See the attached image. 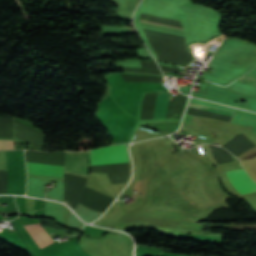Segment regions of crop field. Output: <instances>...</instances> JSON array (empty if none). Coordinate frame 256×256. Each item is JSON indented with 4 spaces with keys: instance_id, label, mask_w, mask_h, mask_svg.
<instances>
[{
    "instance_id": "obj_8",
    "label": "crop field",
    "mask_w": 256,
    "mask_h": 256,
    "mask_svg": "<svg viewBox=\"0 0 256 256\" xmlns=\"http://www.w3.org/2000/svg\"><path fill=\"white\" fill-rule=\"evenodd\" d=\"M239 80L246 81V82H249V83H252V84L256 85V79L251 78V77H247L245 75L242 76Z\"/></svg>"
},
{
    "instance_id": "obj_7",
    "label": "crop field",
    "mask_w": 256,
    "mask_h": 256,
    "mask_svg": "<svg viewBox=\"0 0 256 256\" xmlns=\"http://www.w3.org/2000/svg\"><path fill=\"white\" fill-rule=\"evenodd\" d=\"M0 149H13V140L0 139Z\"/></svg>"
},
{
    "instance_id": "obj_3",
    "label": "crop field",
    "mask_w": 256,
    "mask_h": 256,
    "mask_svg": "<svg viewBox=\"0 0 256 256\" xmlns=\"http://www.w3.org/2000/svg\"><path fill=\"white\" fill-rule=\"evenodd\" d=\"M28 173L63 177L64 165L26 161Z\"/></svg>"
},
{
    "instance_id": "obj_5",
    "label": "crop field",
    "mask_w": 256,
    "mask_h": 256,
    "mask_svg": "<svg viewBox=\"0 0 256 256\" xmlns=\"http://www.w3.org/2000/svg\"><path fill=\"white\" fill-rule=\"evenodd\" d=\"M170 98L171 95L165 92H159L154 119H165L167 117L168 109L171 102L169 101Z\"/></svg>"
},
{
    "instance_id": "obj_4",
    "label": "crop field",
    "mask_w": 256,
    "mask_h": 256,
    "mask_svg": "<svg viewBox=\"0 0 256 256\" xmlns=\"http://www.w3.org/2000/svg\"><path fill=\"white\" fill-rule=\"evenodd\" d=\"M242 173L246 177L247 181L253 186V188L256 190V183H254L249 176L246 174V172L241 169ZM236 185V187L243 193H250L254 192L255 190L251 187V185L246 181L240 170H235V171H229L227 172Z\"/></svg>"
},
{
    "instance_id": "obj_1",
    "label": "crop field",
    "mask_w": 256,
    "mask_h": 256,
    "mask_svg": "<svg viewBox=\"0 0 256 256\" xmlns=\"http://www.w3.org/2000/svg\"><path fill=\"white\" fill-rule=\"evenodd\" d=\"M129 162L126 144L103 147L90 151V164Z\"/></svg>"
},
{
    "instance_id": "obj_9",
    "label": "crop field",
    "mask_w": 256,
    "mask_h": 256,
    "mask_svg": "<svg viewBox=\"0 0 256 256\" xmlns=\"http://www.w3.org/2000/svg\"><path fill=\"white\" fill-rule=\"evenodd\" d=\"M140 21H142V20H140ZM142 22H147V21H142ZM147 23H151V22H147ZM152 24H156V23H152ZM157 25H161V24H157ZM162 26H166V25H162ZM166 27H171V26H166ZM171 28H175V27H171ZM176 29H180V28H176ZM181 30H183V29H181Z\"/></svg>"
},
{
    "instance_id": "obj_2",
    "label": "crop field",
    "mask_w": 256,
    "mask_h": 256,
    "mask_svg": "<svg viewBox=\"0 0 256 256\" xmlns=\"http://www.w3.org/2000/svg\"><path fill=\"white\" fill-rule=\"evenodd\" d=\"M65 172L87 178L89 174V151L65 152Z\"/></svg>"
},
{
    "instance_id": "obj_10",
    "label": "crop field",
    "mask_w": 256,
    "mask_h": 256,
    "mask_svg": "<svg viewBox=\"0 0 256 256\" xmlns=\"http://www.w3.org/2000/svg\"><path fill=\"white\" fill-rule=\"evenodd\" d=\"M137 183H138V180H136V182H135V188H134V190H136V188H137Z\"/></svg>"
},
{
    "instance_id": "obj_6",
    "label": "crop field",
    "mask_w": 256,
    "mask_h": 256,
    "mask_svg": "<svg viewBox=\"0 0 256 256\" xmlns=\"http://www.w3.org/2000/svg\"><path fill=\"white\" fill-rule=\"evenodd\" d=\"M189 107L207 111V112H211V113H215V114H219V115H223V116H227V117H231V118H233V116H234V114H232V113H228V112H224V111H220V110H216V109H212V108H208V107H204V106H200V105H196V104H192V103L190 104Z\"/></svg>"
}]
</instances>
